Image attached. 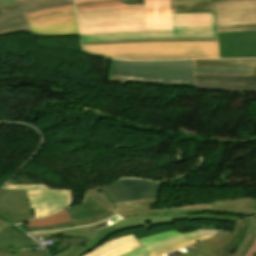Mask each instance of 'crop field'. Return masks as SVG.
Segmentation results:
<instances>
[{"label": "crop field", "mask_w": 256, "mask_h": 256, "mask_svg": "<svg viewBox=\"0 0 256 256\" xmlns=\"http://www.w3.org/2000/svg\"><path fill=\"white\" fill-rule=\"evenodd\" d=\"M91 55L128 60L219 58L218 42L131 43L82 46Z\"/></svg>", "instance_id": "8a807250"}, {"label": "crop field", "mask_w": 256, "mask_h": 256, "mask_svg": "<svg viewBox=\"0 0 256 256\" xmlns=\"http://www.w3.org/2000/svg\"><path fill=\"white\" fill-rule=\"evenodd\" d=\"M108 81L123 85L131 82L193 86L192 60L152 62L112 60Z\"/></svg>", "instance_id": "ac0d7876"}, {"label": "crop field", "mask_w": 256, "mask_h": 256, "mask_svg": "<svg viewBox=\"0 0 256 256\" xmlns=\"http://www.w3.org/2000/svg\"><path fill=\"white\" fill-rule=\"evenodd\" d=\"M173 31H128L81 36V43L142 38H217L212 12L172 13Z\"/></svg>", "instance_id": "34b2d1b8"}, {"label": "crop field", "mask_w": 256, "mask_h": 256, "mask_svg": "<svg viewBox=\"0 0 256 256\" xmlns=\"http://www.w3.org/2000/svg\"><path fill=\"white\" fill-rule=\"evenodd\" d=\"M24 15L32 36H79L74 4Z\"/></svg>", "instance_id": "412701ff"}, {"label": "crop field", "mask_w": 256, "mask_h": 256, "mask_svg": "<svg viewBox=\"0 0 256 256\" xmlns=\"http://www.w3.org/2000/svg\"><path fill=\"white\" fill-rule=\"evenodd\" d=\"M77 15L80 28L145 24L144 5L79 10Z\"/></svg>", "instance_id": "f4fd0767"}, {"label": "crop field", "mask_w": 256, "mask_h": 256, "mask_svg": "<svg viewBox=\"0 0 256 256\" xmlns=\"http://www.w3.org/2000/svg\"><path fill=\"white\" fill-rule=\"evenodd\" d=\"M3 189L26 190L27 202L34 218L71 205V190H49L44 185H7Z\"/></svg>", "instance_id": "dd49c442"}, {"label": "crop field", "mask_w": 256, "mask_h": 256, "mask_svg": "<svg viewBox=\"0 0 256 256\" xmlns=\"http://www.w3.org/2000/svg\"><path fill=\"white\" fill-rule=\"evenodd\" d=\"M248 220L242 219L232 233L217 232L208 240L181 249L184 254L179 256H237L231 252L242 240Z\"/></svg>", "instance_id": "e52e79f7"}, {"label": "crop field", "mask_w": 256, "mask_h": 256, "mask_svg": "<svg viewBox=\"0 0 256 256\" xmlns=\"http://www.w3.org/2000/svg\"><path fill=\"white\" fill-rule=\"evenodd\" d=\"M146 25L87 28L80 29V34L108 33L127 30H172L169 0H145Z\"/></svg>", "instance_id": "d8731c3e"}, {"label": "crop field", "mask_w": 256, "mask_h": 256, "mask_svg": "<svg viewBox=\"0 0 256 256\" xmlns=\"http://www.w3.org/2000/svg\"><path fill=\"white\" fill-rule=\"evenodd\" d=\"M217 27L256 24V0L212 1Z\"/></svg>", "instance_id": "5a996713"}, {"label": "crop field", "mask_w": 256, "mask_h": 256, "mask_svg": "<svg viewBox=\"0 0 256 256\" xmlns=\"http://www.w3.org/2000/svg\"><path fill=\"white\" fill-rule=\"evenodd\" d=\"M157 199L158 198H152L113 203L117 207L113 211L115 214L125 217L133 215H179L197 212L211 213L212 210L211 202L179 208L151 210L150 204H155Z\"/></svg>", "instance_id": "3316defc"}, {"label": "crop field", "mask_w": 256, "mask_h": 256, "mask_svg": "<svg viewBox=\"0 0 256 256\" xmlns=\"http://www.w3.org/2000/svg\"><path fill=\"white\" fill-rule=\"evenodd\" d=\"M220 58L256 57V32L218 33Z\"/></svg>", "instance_id": "28ad6ade"}, {"label": "crop field", "mask_w": 256, "mask_h": 256, "mask_svg": "<svg viewBox=\"0 0 256 256\" xmlns=\"http://www.w3.org/2000/svg\"><path fill=\"white\" fill-rule=\"evenodd\" d=\"M105 188L118 200H132L159 197L161 184L132 179H120L105 185Z\"/></svg>", "instance_id": "d1516ede"}, {"label": "crop field", "mask_w": 256, "mask_h": 256, "mask_svg": "<svg viewBox=\"0 0 256 256\" xmlns=\"http://www.w3.org/2000/svg\"><path fill=\"white\" fill-rule=\"evenodd\" d=\"M196 90L252 92L256 89V75L251 76H195Z\"/></svg>", "instance_id": "22f410ed"}, {"label": "crop field", "mask_w": 256, "mask_h": 256, "mask_svg": "<svg viewBox=\"0 0 256 256\" xmlns=\"http://www.w3.org/2000/svg\"><path fill=\"white\" fill-rule=\"evenodd\" d=\"M0 210L3 216L13 223L33 218L26 203L25 191L0 190Z\"/></svg>", "instance_id": "cbeb9de0"}, {"label": "crop field", "mask_w": 256, "mask_h": 256, "mask_svg": "<svg viewBox=\"0 0 256 256\" xmlns=\"http://www.w3.org/2000/svg\"><path fill=\"white\" fill-rule=\"evenodd\" d=\"M198 238L195 231L179 233L177 231H167L153 236L137 239L147 253L165 248L177 243Z\"/></svg>", "instance_id": "5142ce71"}, {"label": "crop field", "mask_w": 256, "mask_h": 256, "mask_svg": "<svg viewBox=\"0 0 256 256\" xmlns=\"http://www.w3.org/2000/svg\"><path fill=\"white\" fill-rule=\"evenodd\" d=\"M140 248L134 235L108 241L83 256H119Z\"/></svg>", "instance_id": "d9b57169"}, {"label": "crop field", "mask_w": 256, "mask_h": 256, "mask_svg": "<svg viewBox=\"0 0 256 256\" xmlns=\"http://www.w3.org/2000/svg\"><path fill=\"white\" fill-rule=\"evenodd\" d=\"M71 3L73 0H23L19 5L1 8L0 18Z\"/></svg>", "instance_id": "733c2abd"}, {"label": "crop field", "mask_w": 256, "mask_h": 256, "mask_svg": "<svg viewBox=\"0 0 256 256\" xmlns=\"http://www.w3.org/2000/svg\"><path fill=\"white\" fill-rule=\"evenodd\" d=\"M212 206V213L247 216L256 214V210H252V198L250 197L212 202Z\"/></svg>", "instance_id": "4a817a6b"}, {"label": "crop field", "mask_w": 256, "mask_h": 256, "mask_svg": "<svg viewBox=\"0 0 256 256\" xmlns=\"http://www.w3.org/2000/svg\"><path fill=\"white\" fill-rule=\"evenodd\" d=\"M187 218L186 215L180 216H133L123 218L120 222L113 225L118 231L128 229L136 226H143L146 224V229L153 224H165V223H173L172 220Z\"/></svg>", "instance_id": "bc2a9ffb"}, {"label": "crop field", "mask_w": 256, "mask_h": 256, "mask_svg": "<svg viewBox=\"0 0 256 256\" xmlns=\"http://www.w3.org/2000/svg\"><path fill=\"white\" fill-rule=\"evenodd\" d=\"M74 221L107 212L88 196L84 204L66 209Z\"/></svg>", "instance_id": "214f88e0"}, {"label": "crop field", "mask_w": 256, "mask_h": 256, "mask_svg": "<svg viewBox=\"0 0 256 256\" xmlns=\"http://www.w3.org/2000/svg\"><path fill=\"white\" fill-rule=\"evenodd\" d=\"M17 32H30L23 14L0 19V36Z\"/></svg>", "instance_id": "92a150f3"}, {"label": "crop field", "mask_w": 256, "mask_h": 256, "mask_svg": "<svg viewBox=\"0 0 256 256\" xmlns=\"http://www.w3.org/2000/svg\"><path fill=\"white\" fill-rule=\"evenodd\" d=\"M118 232L112 226L104 228L99 231L98 235L96 236L95 240L86 248L83 246H71L68 249L64 250L63 252L55 255V256H81L86 252L94 249L97 245L108 235Z\"/></svg>", "instance_id": "dafd665d"}, {"label": "crop field", "mask_w": 256, "mask_h": 256, "mask_svg": "<svg viewBox=\"0 0 256 256\" xmlns=\"http://www.w3.org/2000/svg\"><path fill=\"white\" fill-rule=\"evenodd\" d=\"M172 12L213 11L211 0H170Z\"/></svg>", "instance_id": "00972430"}, {"label": "crop field", "mask_w": 256, "mask_h": 256, "mask_svg": "<svg viewBox=\"0 0 256 256\" xmlns=\"http://www.w3.org/2000/svg\"><path fill=\"white\" fill-rule=\"evenodd\" d=\"M194 66H250L251 74H256V59L194 60Z\"/></svg>", "instance_id": "a9b5d70f"}, {"label": "crop field", "mask_w": 256, "mask_h": 256, "mask_svg": "<svg viewBox=\"0 0 256 256\" xmlns=\"http://www.w3.org/2000/svg\"><path fill=\"white\" fill-rule=\"evenodd\" d=\"M90 227H81L77 229H69V230H63V231H57V232H40V233H30V235L33 238L38 237H44V236H50V235H61L64 234L65 237H85V238H91L88 242L87 246L94 240L97 232H91L89 230ZM86 246V247H87Z\"/></svg>", "instance_id": "4177f3b9"}, {"label": "crop field", "mask_w": 256, "mask_h": 256, "mask_svg": "<svg viewBox=\"0 0 256 256\" xmlns=\"http://www.w3.org/2000/svg\"><path fill=\"white\" fill-rule=\"evenodd\" d=\"M72 219L67 211L64 209L57 213H54L48 217L36 219L30 222L25 223L26 227H43V226H52L60 223L71 222Z\"/></svg>", "instance_id": "730fd06b"}, {"label": "crop field", "mask_w": 256, "mask_h": 256, "mask_svg": "<svg viewBox=\"0 0 256 256\" xmlns=\"http://www.w3.org/2000/svg\"><path fill=\"white\" fill-rule=\"evenodd\" d=\"M250 219L251 221H249L246 227L243 240L238 244L236 249L233 251V253L239 256H243L246 253L255 237L253 233L256 231V216Z\"/></svg>", "instance_id": "eef30255"}, {"label": "crop field", "mask_w": 256, "mask_h": 256, "mask_svg": "<svg viewBox=\"0 0 256 256\" xmlns=\"http://www.w3.org/2000/svg\"><path fill=\"white\" fill-rule=\"evenodd\" d=\"M0 246L4 247H40L37 243L34 241L23 239V237H20L16 234H3L0 235Z\"/></svg>", "instance_id": "ae1a2a85"}, {"label": "crop field", "mask_w": 256, "mask_h": 256, "mask_svg": "<svg viewBox=\"0 0 256 256\" xmlns=\"http://www.w3.org/2000/svg\"><path fill=\"white\" fill-rule=\"evenodd\" d=\"M179 41H218L213 38H194V39H143V40H127V41H113V42H101V43H88L90 44H114V43H130V42H179Z\"/></svg>", "instance_id": "d3111659"}, {"label": "crop field", "mask_w": 256, "mask_h": 256, "mask_svg": "<svg viewBox=\"0 0 256 256\" xmlns=\"http://www.w3.org/2000/svg\"><path fill=\"white\" fill-rule=\"evenodd\" d=\"M87 195L102 206L107 211L116 208L109 200H107L97 189L89 190Z\"/></svg>", "instance_id": "750c4746"}, {"label": "crop field", "mask_w": 256, "mask_h": 256, "mask_svg": "<svg viewBox=\"0 0 256 256\" xmlns=\"http://www.w3.org/2000/svg\"><path fill=\"white\" fill-rule=\"evenodd\" d=\"M195 71L250 72L249 67H194Z\"/></svg>", "instance_id": "bd1437ed"}, {"label": "crop field", "mask_w": 256, "mask_h": 256, "mask_svg": "<svg viewBox=\"0 0 256 256\" xmlns=\"http://www.w3.org/2000/svg\"><path fill=\"white\" fill-rule=\"evenodd\" d=\"M212 235H209V236H204V237H201V238H198V239H194V240H191V241H188V242H184V243H181V244H177V245H174V246H171V247H168V248H165V249H162V250H158V251H155V252H152V253H149L148 255L149 256H160V255H164V254H167L175 249H178V248H181V247H184L186 245H189V244H192V243H195L199 240H202V239H206V238H209L211 237Z\"/></svg>", "instance_id": "1d83c4d3"}, {"label": "crop field", "mask_w": 256, "mask_h": 256, "mask_svg": "<svg viewBox=\"0 0 256 256\" xmlns=\"http://www.w3.org/2000/svg\"><path fill=\"white\" fill-rule=\"evenodd\" d=\"M115 215L113 213V211H109L105 214H101V215H98V216H95V217H92V218H89V219H85V220H81V221H77V222H74V225L75 227L77 226H84V225H91V224H95L103 219H107L111 216Z\"/></svg>", "instance_id": "120bbe31"}, {"label": "crop field", "mask_w": 256, "mask_h": 256, "mask_svg": "<svg viewBox=\"0 0 256 256\" xmlns=\"http://www.w3.org/2000/svg\"><path fill=\"white\" fill-rule=\"evenodd\" d=\"M189 221H196V220H219V221H233L237 222L241 220L240 218H232V217H222V216H212V215H193V216H187Z\"/></svg>", "instance_id": "d32e631a"}, {"label": "crop field", "mask_w": 256, "mask_h": 256, "mask_svg": "<svg viewBox=\"0 0 256 256\" xmlns=\"http://www.w3.org/2000/svg\"><path fill=\"white\" fill-rule=\"evenodd\" d=\"M217 31H218V32L256 31V25L221 27V28H217Z\"/></svg>", "instance_id": "5866460e"}, {"label": "crop field", "mask_w": 256, "mask_h": 256, "mask_svg": "<svg viewBox=\"0 0 256 256\" xmlns=\"http://www.w3.org/2000/svg\"><path fill=\"white\" fill-rule=\"evenodd\" d=\"M124 5L120 2H110V3H102V4H94V5H86V6H76L77 10L79 9H87V8H98V7H107V6H117Z\"/></svg>", "instance_id": "028f5c9d"}, {"label": "crop field", "mask_w": 256, "mask_h": 256, "mask_svg": "<svg viewBox=\"0 0 256 256\" xmlns=\"http://www.w3.org/2000/svg\"><path fill=\"white\" fill-rule=\"evenodd\" d=\"M0 256H44V252H20L14 253V255L0 254Z\"/></svg>", "instance_id": "e1f06a70"}, {"label": "crop field", "mask_w": 256, "mask_h": 256, "mask_svg": "<svg viewBox=\"0 0 256 256\" xmlns=\"http://www.w3.org/2000/svg\"><path fill=\"white\" fill-rule=\"evenodd\" d=\"M195 75H250V73L195 72Z\"/></svg>", "instance_id": "0bd39190"}, {"label": "crop field", "mask_w": 256, "mask_h": 256, "mask_svg": "<svg viewBox=\"0 0 256 256\" xmlns=\"http://www.w3.org/2000/svg\"><path fill=\"white\" fill-rule=\"evenodd\" d=\"M98 190L111 202H117V200L104 188V186L98 188Z\"/></svg>", "instance_id": "b80d0937"}, {"label": "crop field", "mask_w": 256, "mask_h": 256, "mask_svg": "<svg viewBox=\"0 0 256 256\" xmlns=\"http://www.w3.org/2000/svg\"><path fill=\"white\" fill-rule=\"evenodd\" d=\"M254 234L256 235V232ZM244 256H256V237H255L250 249L247 251V253Z\"/></svg>", "instance_id": "c035e120"}, {"label": "crop field", "mask_w": 256, "mask_h": 256, "mask_svg": "<svg viewBox=\"0 0 256 256\" xmlns=\"http://www.w3.org/2000/svg\"><path fill=\"white\" fill-rule=\"evenodd\" d=\"M122 256H146V254L144 253V251L142 250V248L128 252Z\"/></svg>", "instance_id": "c21b1889"}, {"label": "crop field", "mask_w": 256, "mask_h": 256, "mask_svg": "<svg viewBox=\"0 0 256 256\" xmlns=\"http://www.w3.org/2000/svg\"><path fill=\"white\" fill-rule=\"evenodd\" d=\"M16 4L17 2L15 0H0V8Z\"/></svg>", "instance_id": "03da06ac"}, {"label": "crop field", "mask_w": 256, "mask_h": 256, "mask_svg": "<svg viewBox=\"0 0 256 256\" xmlns=\"http://www.w3.org/2000/svg\"><path fill=\"white\" fill-rule=\"evenodd\" d=\"M199 237L200 236H204V235H208V234H215V230H196Z\"/></svg>", "instance_id": "b54c1fbb"}, {"label": "crop field", "mask_w": 256, "mask_h": 256, "mask_svg": "<svg viewBox=\"0 0 256 256\" xmlns=\"http://www.w3.org/2000/svg\"><path fill=\"white\" fill-rule=\"evenodd\" d=\"M94 1H101V0H78V1H75V4L84 3V2H94Z\"/></svg>", "instance_id": "5d738f31"}, {"label": "crop field", "mask_w": 256, "mask_h": 256, "mask_svg": "<svg viewBox=\"0 0 256 256\" xmlns=\"http://www.w3.org/2000/svg\"><path fill=\"white\" fill-rule=\"evenodd\" d=\"M6 224H9L8 222H6L1 216H0V228Z\"/></svg>", "instance_id": "d23c7cc5"}, {"label": "crop field", "mask_w": 256, "mask_h": 256, "mask_svg": "<svg viewBox=\"0 0 256 256\" xmlns=\"http://www.w3.org/2000/svg\"><path fill=\"white\" fill-rule=\"evenodd\" d=\"M253 209H256V199H253Z\"/></svg>", "instance_id": "425ffa30"}, {"label": "crop field", "mask_w": 256, "mask_h": 256, "mask_svg": "<svg viewBox=\"0 0 256 256\" xmlns=\"http://www.w3.org/2000/svg\"><path fill=\"white\" fill-rule=\"evenodd\" d=\"M16 1H18V0H16Z\"/></svg>", "instance_id": "25e5ab78"}]
</instances>
